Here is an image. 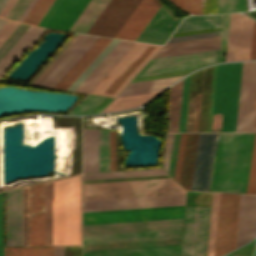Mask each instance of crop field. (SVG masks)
<instances>
[{"label": "crop field", "instance_id": "crop-field-1", "mask_svg": "<svg viewBox=\"0 0 256 256\" xmlns=\"http://www.w3.org/2000/svg\"><path fill=\"white\" fill-rule=\"evenodd\" d=\"M81 245V175L45 183V246Z\"/></svg>", "mask_w": 256, "mask_h": 256}, {"label": "crop field", "instance_id": "crop-field-2", "mask_svg": "<svg viewBox=\"0 0 256 256\" xmlns=\"http://www.w3.org/2000/svg\"><path fill=\"white\" fill-rule=\"evenodd\" d=\"M254 133H219L211 191L245 193Z\"/></svg>", "mask_w": 256, "mask_h": 256}, {"label": "crop field", "instance_id": "crop-field-3", "mask_svg": "<svg viewBox=\"0 0 256 256\" xmlns=\"http://www.w3.org/2000/svg\"><path fill=\"white\" fill-rule=\"evenodd\" d=\"M241 66L218 65L211 131H235Z\"/></svg>", "mask_w": 256, "mask_h": 256}, {"label": "crop field", "instance_id": "crop-field-4", "mask_svg": "<svg viewBox=\"0 0 256 256\" xmlns=\"http://www.w3.org/2000/svg\"><path fill=\"white\" fill-rule=\"evenodd\" d=\"M161 47L134 42L89 93L116 97Z\"/></svg>", "mask_w": 256, "mask_h": 256}, {"label": "crop field", "instance_id": "crop-field-5", "mask_svg": "<svg viewBox=\"0 0 256 256\" xmlns=\"http://www.w3.org/2000/svg\"><path fill=\"white\" fill-rule=\"evenodd\" d=\"M186 193L171 178L83 184V200Z\"/></svg>", "mask_w": 256, "mask_h": 256}, {"label": "crop field", "instance_id": "crop-field-6", "mask_svg": "<svg viewBox=\"0 0 256 256\" xmlns=\"http://www.w3.org/2000/svg\"><path fill=\"white\" fill-rule=\"evenodd\" d=\"M184 205L83 212V224L183 218Z\"/></svg>", "mask_w": 256, "mask_h": 256}, {"label": "crop field", "instance_id": "crop-field-7", "mask_svg": "<svg viewBox=\"0 0 256 256\" xmlns=\"http://www.w3.org/2000/svg\"><path fill=\"white\" fill-rule=\"evenodd\" d=\"M98 38L78 34L32 85L53 88Z\"/></svg>", "mask_w": 256, "mask_h": 256}, {"label": "crop field", "instance_id": "crop-field-8", "mask_svg": "<svg viewBox=\"0 0 256 256\" xmlns=\"http://www.w3.org/2000/svg\"><path fill=\"white\" fill-rule=\"evenodd\" d=\"M210 208L186 207L181 256H205Z\"/></svg>", "mask_w": 256, "mask_h": 256}, {"label": "crop field", "instance_id": "crop-field-9", "mask_svg": "<svg viewBox=\"0 0 256 256\" xmlns=\"http://www.w3.org/2000/svg\"><path fill=\"white\" fill-rule=\"evenodd\" d=\"M218 133H199L190 190L210 191Z\"/></svg>", "mask_w": 256, "mask_h": 256}, {"label": "crop field", "instance_id": "crop-field-10", "mask_svg": "<svg viewBox=\"0 0 256 256\" xmlns=\"http://www.w3.org/2000/svg\"><path fill=\"white\" fill-rule=\"evenodd\" d=\"M240 195L221 194L215 255L234 249Z\"/></svg>", "mask_w": 256, "mask_h": 256}, {"label": "crop field", "instance_id": "crop-field-11", "mask_svg": "<svg viewBox=\"0 0 256 256\" xmlns=\"http://www.w3.org/2000/svg\"><path fill=\"white\" fill-rule=\"evenodd\" d=\"M218 53L219 50H216L151 59L136 77L200 68L217 63Z\"/></svg>", "mask_w": 256, "mask_h": 256}, {"label": "crop field", "instance_id": "crop-field-12", "mask_svg": "<svg viewBox=\"0 0 256 256\" xmlns=\"http://www.w3.org/2000/svg\"><path fill=\"white\" fill-rule=\"evenodd\" d=\"M140 1L111 0L87 33L114 37Z\"/></svg>", "mask_w": 256, "mask_h": 256}, {"label": "crop field", "instance_id": "crop-field-13", "mask_svg": "<svg viewBox=\"0 0 256 256\" xmlns=\"http://www.w3.org/2000/svg\"><path fill=\"white\" fill-rule=\"evenodd\" d=\"M254 21L231 14L226 61L249 60Z\"/></svg>", "mask_w": 256, "mask_h": 256}, {"label": "crop field", "instance_id": "crop-field-14", "mask_svg": "<svg viewBox=\"0 0 256 256\" xmlns=\"http://www.w3.org/2000/svg\"><path fill=\"white\" fill-rule=\"evenodd\" d=\"M185 194L83 201V211L184 204Z\"/></svg>", "mask_w": 256, "mask_h": 256}, {"label": "crop field", "instance_id": "crop-field-15", "mask_svg": "<svg viewBox=\"0 0 256 256\" xmlns=\"http://www.w3.org/2000/svg\"><path fill=\"white\" fill-rule=\"evenodd\" d=\"M6 246H22V188L6 192Z\"/></svg>", "mask_w": 256, "mask_h": 256}, {"label": "crop field", "instance_id": "crop-field-16", "mask_svg": "<svg viewBox=\"0 0 256 256\" xmlns=\"http://www.w3.org/2000/svg\"><path fill=\"white\" fill-rule=\"evenodd\" d=\"M183 219L83 225V234L182 228Z\"/></svg>", "mask_w": 256, "mask_h": 256}, {"label": "crop field", "instance_id": "crop-field-17", "mask_svg": "<svg viewBox=\"0 0 256 256\" xmlns=\"http://www.w3.org/2000/svg\"><path fill=\"white\" fill-rule=\"evenodd\" d=\"M30 246H44V183L29 187Z\"/></svg>", "mask_w": 256, "mask_h": 256}, {"label": "crop field", "instance_id": "crop-field-18", "mask_svg": "<svg viewBox=\"0 0 256 256\" xmlns=\"http://www.w3.org/2000/svg\"><path fill=\"white\" fill-rule=\"evenodd\" d=\"M159 7L157 0H142L115 37L136 40Z\"/></svg>", "mask_w": 256, "mask_h": 256}, {"label": "crop field", "instance_id": "crop-field-19", "mask_svg": "<svg viewBox=\"0 0 256 256\" xmlns=\"http://www.w3.org/2000/svg\"><path fill=\"white\" fill-rule=\"evenodd\" d=\"M256 232V196L241 195L235 248L250 241Z\"/></svg>", "mask_w": 256, "mask_h": 256}, {"label": "crop field", "instance_id": "crop-field-20", "mask_svg": "<svg viewBox=\"0 0 256 256\" xmlns=\"http://www.w3.org/2000/svg\"><path fill=\"white\" fill-rule=\"evenodd\" d=\"M180 22L174 21L161 7L137 38L139 41L164 44Z\"/></svg>", "mask_w": 256, "mask_h": 256}, {"label": "crop field", "instance_id": "crop-field-21", "mask_svg": "<svg viewBox=\"0 0 256 256\" xmlns=\"http://www.w3.org/2000/svg\"><path fill=\"white\" fill-rule=\"evenodd\" d=\"M90 0H63L45 28L68 31Z\"/></svg>", "mask_w": 256, "mask_h": 256}, {"label": "crop field", "instance_id": "crop-field-22", "mask_svg": "<svg viewBox=\"0 0 256 256\" xmlns=\"http://www.w3.org/2000/svg\"><path fill=\"white\" fill-rule=\"evenodd\" d=\"M180 245L90 251L84 252V256H179Z\"/></svg>", "mask_w": 256, "mask_h": 256}, {"label": "crop field", "instance_id": "crop-field-23", "mask_svg": "<svg viewBox=\"0 0 256 256\" xmlns=\"http://www.w3.org/2000/svg\"><path fill=\"white\" fill-rule=\"evenodd\" d=\"M111 40L100 37L54 88L66 90Z\"/></svg>", "mask_w": 256, "mask_h": 256}, {"label": "crop field", "instance_id": "crop-field-24", "mask_svg": "<svg viewBox=\"0 0 256 256\" xmlns=\"http://www.w3.org/2000/svg\"><path fill=\"white\" fill-rule=\"evenodd\" d=\"M220 36L165 44L157 56L219 48Z\"/></svg>", "mask_w": 256, "mask_h": 256}, {"label": "crop field", "instance_id": "crop-field-25", "mask_svg": "<svg viewBox=\"0 0 256 256\" xmlns=\"http://www.w3.org/2000/svg\"><path fill=\"white\" fill-rule=\"evenodd\" d=\"M125 41V40H124ZM125 42L120 41L116 47L104 58V60L92 71V73L76 89L81 91L86 84L97 74V72L109 61V59L120 49ZM133 42L127 41L121 49L110 59V61L98 72V74L81 91L88 93L92 87L101 79V77L110 69V67L120 58V56L129 48Z\"/></svg>", "mask_w": 256, "mask_h": 256}, {"label": "crop field", "instance_id": "crop-field-26", "mask_svg": "<svg viewBox=\"0 0 256 256\" xmlns=\"http://www.w3.org/2000/svg\"><path fill=\"white\" fill-rule=\"evenodd\" d=\"M44 29L30 26L16 44L0 61V77L22 55Z\"/></svg>", "mask_w": 256, "mask_h": 256}, {"label": "crop field", "instance_id": "crop-field-27", "mask_svg": "<svg viewBox=\"0 0 256 256\" xmlns=\"http://www.w3.org/2000/svg\"><path fill=\"white\" fill-rule=\"evenodd\" d=\"M98 171V130L83 129V172Z\"/></svg>", "mask_w": 256, "mask_h": 256}, {"label": "crop field", "instance_id": "crop-field-28", "mask_svg": "<svg viewBox=\"0 0 256 256\" xmlns=\"http://www.w3.org/2000/svg\"><path fill=\"white\" fill-rule=\"evenodd\" d=\"M198 133L186 134L179 182L189 190Z\"/></svg>", "mask_w": 256, "mask_h": 256}, {"label": "crop field", "instance_id": "crop-field-29", "mask_svg": "<svg viewBox=\"0 0 256 256\" xmlns=\"http://www.w3.org/2000/svg\"><path fill=\"white\" fill-rule=\"evenodd\" d=\"M182 76L129 83L118 97L161 91L173 81L179 79Z\"/></svg>", "mask_w": 256, "mask_h": 256}, {"label": "crop field", "instance_id": "crop-field-30", "mask_svg": "<svg viewBox=\"0 0 256 256\" xmlns=\"http://www.w3.org/2000/svg\"><path fill=\"white\" fill-rule=\"evenodd\" d=\"M110 0H91L69 31L86 33Z\"/></svg>", "mask_w": 256, "mask_h": 256}, {"label": "crop field", "instance_id": "crop-field-31", "mask_svg": "<svg viewBox=\"0 0 256 256\" xmlns=\"http://www.w3.org/2000/svg\"><path fill=\"white\" fill-rule=\"evenodd\" d=\"M180 241H181V238H175V239L133 241V242H120V243L92 244V245H84V251L174 245V244H180Z\"/></svg>", "mask_w": 256, "mask_h": 256}, {"label": "crop field", "instance_id": "crop-field-32", "mask_svg": "<svg viewBox=\"0 0 256 256\" xmlns=\"http://www.w3.org/2000/svg\"><path fill=\"white\" fill-rule=\"evenodd\" d=\"M222 20L223 15L189 16L182 21L174 33L222 26Z\"/></svg>", "mask_w": 256, "mask_h": 256}, {"label": "crop field", "instance_id": "crop-field-33", "mask_svg": "<svg viewBox=\"0 0 256 256\" xmlns=\"http://www.w3.org/2000/svg\"><path fill=\"white\" fill-rule=\"evenodd\" d=\"M183 79L172 86L169 117V132H178Z\"/></svg>", "mask_w": 256, "mask_h": 256}, {"label": "crop field", "instance_id": "crop-field-34", "mask_svg": "<svg viewBox=\"0 0 256 256\" xmlns=\"http://www.w3.org/2000/svg\"><path fill=\"white\" fill-rule=\"evenodd\" d=\"M159 93V92H157ZM157 93L142 94L128 97L116 98L108 107H106L102 112H109L113 110L129 109L132 107L140 106L149 100L151 97Z\"/></svg>", "mask_w": 256, "mask_h": 256}, {"label": "crop field", "instance_id": "crop-field-35", "mask_svg": "<svg viewBox=\"0 0 256 256\" xmlns=\"http://www.w3.org/2000/svg\"><path fill=\"white\" fill-rule=\"evenodd\" d=\"M167 174L162 169L83 174V180Z\"/></svg>", "mask_w": 256, "mask_h": 256}, {"label": "crop field", "instance_id": "crop-field-36", "mask_svg": "<svg viewBox=\"0 0 256 256\" xmlns=\"http://www.w3.org/2000/svg\"><path fill=\"white\" fill-rule=\"evenodd\" d=\"M220 194L213 193L206 256L214 255Z\"/></svg>", "mask_w": 256, "mask_h": 256}, {"label": "crop field", "instance_id": "crop-field-37", "mask_svg": "<svg viewBox=\"0 0 256 256\" xmlns=\"http://www.w3.org/2000/svg\"><path fill=\"white\" fill-rule=\"evenodd\" d=\"M220 33H221V27L197 30V31H190V32H183V33H176V34H172V36L169 38L167 43L196 39V38H203V37H210V36H217V35H220Z\"/></svg>", "mask_w": 256, "mask_h": 256}, {"label": "crop field", "instance_id": "crop-field-38", "mask_svg": "<svg viewBox=\"0 0 256 256\" xmlns=\"http://www.w3.org/2000/svg\"><path fill=\"white\" fill-rule=\"evenodd\" d=\"M109 170V130H99V171Z\"/></svg>", "mask_w": 256, "mask_h": 256}, {"label": "crop field", "instance_id": "crop-field-39", "mask_svg": "<svg viewBox=\"0 0 256 256\" xmlns=\"http://www.w3.org/2000/svg\"><path fill=\"white\" fill-rule=\"evenodd\" d=\"M120 40L113 39L108 46L96 57V59L84 70V72L67 89L74 91L79 84L91 73V71L103 60V58L114 48Z\"/></svg>", "mask_w": 256, "mask_h": 256}, {"label": "crop field", "instance_id": "crop-field-40", "mask_svg": "<svg viewBox=\"0 0 256 256\" xmlns=\"http://www.w3.org/2000/svg\"><path fill=\"white\" fill-rule=\"evenodd\" d=\"M182 233V229L83 235V239Z\"/></svg>", "mask_w": 256, "mask_h": 256}, {"label": "crop field", "instance_id": "crop-field-41", "mask_svg": "<svg viewBox=\"0 0 256 256\" xmlns=\"http://www.w3.org/2000/svg\"><path fill=\"white\" fill-rule=\"evenodd\" d=\"M52 2L53 0H38L24 22L37 25Z\"/></svg>", "mask_w": 256, "mask_h": 256}, {"label": "crop field", "instance_id": "crop-field-42", "mask_svg": "<svg viewBox=\"0 0 256 256\" xmlns=\"http://www.w3.org/2000/svg\"><path fill=\"white\" fill-rule=\"evenodd\" d=\"M105 97L88 95L68 114H88L96 105H98Z\"/></svg>", "mask_w": 256, "mask_h": 256}, {"label": "crop field", "instance_id": "crop-field-43", "mask_svg": "<svg viewBox=\"0 0 256 256\" xmlns=\"http://www.w3.org/2000/svg\"><path fill=\"white\" fill-rule=\"evenodd\" d=\"M28 27L29 25L20 23L18 27L12 32V34L6 39V41L0 46V60L27 30Z\"/></svg>", "mask_w": 256, "mask_h": 256}, {"label": "crop field", "instance_id": "crop-field-44", "mask_svg": "<svg viewBox=\"0 0 256 256\" xmlns=\"http://www.w3.org/2000/svg\"><path fill=\"white\" fill-rule=\"evenodd\" d=\"M181 235L182 234L158 235V236H141V237H124V238H108V239H91V240H83V244L118 242V241H132V240H146V239H160V238H174V237H181Z\"/></svg>", "mask_w": 256, "mask_h": 256}, {"label": "crop field", "instance_id": "crop-field-45", "mask_svg": "<svg viewBox=\"0 0 256 256\" xmlns=\"http://www.w3.org/2000/svg\"><path fill=\"white\" fill-rule=\"evenodd\" d=\"M246 193L256 194V133L254 136V143H253V149H252V156H251Z\"/></svg>", "mask_w": 256, "mask_h": 256}, {"label": "crop field", "instance_id": "crop-field-46", "mask_svg": "<svg viewBox=\"0 0 256 256\" xmlns=\"http://www.w3.org/2000/svg\"><path fill=\"white\" fill-rule=\"evenodd\" d=\"M219 13L240 12L245 10L244 0H218Z\"/></svg>", "mask_w": 256, "mask_h": 256}, {"label": "crop field", "instance_id": "crop-field-47", "mask_svg": "<svg viewBox=\"0 0 256 256\" xmlns=\"http://www.w3.org/2000/svg\"><path fill=\"white\" fill-rule=\"evenodd\" d=\"M22 256H53V247H22Z\"/></svg>", "mask_w": 256, "mask_h": 256}, {"label": "crop field", "instance_id": "crop-field-48", "mask_svg": "<svg viewBox=\"0 0 256 256\" xmlns=\"http://www.w3.org/2000/svg\"><path fill=\"white\" fill-rule=\"evenodd\" d=\"M31 0H17L11 11L8 13L6 18L16 20L20 18L24 10L27 8Z\"/></svg>", "mask_w": 256, "mask_h": 256}, {"label": "crop field", "instance_id": "crop-field-49", "mask_svg": "<svg viewBox=\"0 0 256 256\" xmlns=\"http://www.w3.org/2000/svg\"><path fill=\"white\" fill-rule=\"evenodd\" d=\"M188 79H189V75L184 78V83H183V94H182V105H181V116H180L179 132H183V128H184V118H185V108H186V99H187Z\"/></svg>", "mask_w": 256, "mask_h": 256}, {"label": "crop field", "instance_id": "crop-field-50", "mask_svg": "<svg viewBox=\"0 0 256 256\" xmlns=\"http://www.w3.org/2000/svg\"><path fill=\"white\" fill-rule=\"evenodd\" d=\"M180 134H174L169 173L174 176ZM171 175V176H172Z\"/></svg>", "mask_w": 256, "mask_h": 256}, {"label": "crop field", "instance_id": "crop-field-51", "mask_svg": "<svg viewBox=\"0 0 256 256\" xmlns=\"http://www.w3.org/2000/svg\"><path fill=\"white\" fill-rule=\"evenodd\" d=\"M19 23L8 20L6 24L0 29V45L11 34V32L17 27Z\"/></svg>", "mask_w": 256, "mask_h": 256}, {"label": "crop field", "instance_id": "crop-field-52", "mask_svg": "<svg viewBox=\"0 0 256 256\" xmlns=\"http://www.w3.org/2000/svg\"><path fill=\"white\" fill-rule=\"evenodd\" d=\"M202 14H216L217 0H201Z\"/></svg>", "mask_w": 256, "mask_h": 256}, {"label": "crop field", "instance_id": "crop-field-53", "mask_svg": "<svg viewBox=\"0 0 256 256\" xmlns=\"http://www.w3.org/2000/svg\"><path fill=\"white\" fill-rule=\"evenodd\" d=\"M229 18H230V14H225L219 62H222L223 52L226 50L228 27H229Z\"/></svg>", "mask_w": 256, "mask_h": 256}, {"label": "crop field", "instance_id": "crop-field-54", "mask_svg": "<svg viewBox=\"0 0 256 256\" xmlns=\"http://www.w3.org/2000/svg\"><path fill=\"white\" fill-rule=\"evenodd\" d=\"M110 170H116L115 131L110 130Z\"/></svg>", "mask_w": 256, "mask_h": 256}, {"label": "crop field", "instance_id": "crop-field-55", "mask_svg": "<svg viewBox=\"0 0 256 256\" xmlns=\"http://www.w3.org/2000/svg\"><path fill=\"white\" fill-rule=\"evenodd\" d=\"M184 10L193 14H201L200 0H183Z\"/></svg>", "mask_w": 256, "mask_h": 256}, {"label": "crop field", "instance_id": "crop-field-56", "mask_svg": "<svg viewBox=\"0 0 256 256\" xmlns=\"http://www.w3.org/2000/svg\"><path fill=\"white\" fill-rule=\"evenodd\" d=\"M172 137H173V134H167V137H166V144H165V150H164V161H163V168L166 171L168 169V163H169V157H170V151H171V144H172Z\"/></svg>", "mask_w": 256, "mask_h": 256}, {"label": "crop field", "instance_id": "crop-field-57", "mask_svg": "<svg viewBox=\"0 0 256 256\" xmlns=\"http://www.w3.org/2000/svg\"><path fill=\"white\" fill-rule=\"evenodd\" d=\"M62 0H54V2L52 3V5L50 6V8L47 10V12L45 13V15L43 16V18L40 20V22L38 23V26H42L44 27V25L47 23V21L49 20V18L51 17V15L54 13V11L56 10V8L58 7V5L61 3Z\"/></svg>", "mask_w": 256, "mask_h": 256}, {"label": "crop field", "instance_id": "crop-field-58", "mask_svg": "<svg viewBox=\"0 0 256 256\" xmlns=\"http://www.w3.org/2000/svg\"><path fill=\"white\" fill-rule=\"evenodd\" d=\"M185 134H181L175 178L178 180Z\"/></svg>", "mask_w": 256, "mask_h": 256}, {"label": "crop field", "instance_id": "crop-field-59", "mask_svg": "<svg viewBox=\"0 0 256 256\" xmlns=\"http://www.w3.org/2000/svg\"><path fill=\"white\" fill-rule=\"evenodd\" d=\"M0 246H3L2 193H0Z\"/></svg>", "mask_w": 256, "mask_h": 256}, {"label": "crop field", "instance_id": "crop-field-60", "mask_svg": "<svg viewBox=\"0 0 256 256\" xmlns=\"http://www.w3.org/2000/svg\"><path fill=\"white\" fill-rule=\"evenodd\" d=\"M15 2L16 0H9L8 3L5 5V7L3 8V10L1 11L0 17L5 18V16L10 11V9L12 8Z\"/></svg>", "mask_w": 256, "mask_h": 256}, {"label": "crop field", "instance_id": "crop-field-61", "mask_svg": "<svg viewBox=\"0 0 256 256\" xmlns=\"http://www.w3.org/2000/svg\"><path fill=\"white\" fill-rule=\"evenodd\" d=\"M37 0H32V2L30 3V5L28 6V8L25 10V12L23 13V15L21 16V18L19 19V21L23 22V20L25 19V17L27 16V14L30 12V10L32 9V7L34 6V4L36 3Z\"/></svg>", "mask_w": 256, "mask_h": 256}, {"label": "crop field", "instance_id": "crop-field-62", "mask_svg": "<svg viewBox=\"0 0 256 256\" xmlns=\"http://www.w3.org/2000/svg\"><path fill=\"white\" fill-rule=\"evenodd\" d=\"M54 256H64V247H54Z\"/></svg>", "mask_w": 256, "mask_h": 256}, {"label": "crop field", "instance_id": "crop-field-63", "mask_svg": "<svg viewBox=\"0 0 256 256\" xmlns=\"http://www.w3.org/2000/svg\"><path fill=\"white\" fill-rule=\"evenodd\" d=\"M4 256H12V247H4Z\"/></svg>", "mask_w": 256, "mask_h": 256}, {"label": "crop field", "instance_id": "crop-field-64", "mask_svg": "<svg viewBox=\"0 0 256 256\" xmlns=\"http://www.w3.org/2000/svg\"><path fill=\"white\" fill-rule=\"evenodd\" d=\"M13 256H21V247H13Z\"/></svg>", "mask_w": 256, "mask_h": 256}, {"label": "crop field", "instance_id": "crop-field-65", "mask_svg": "<svg viewBox=\"0 0 256 256\" xmlns=\"http://www.w3.org/2000/svg\"><path fill=\"white\" fill-rule=\"evenodd\" d=\"M175 4H176L179 8L183 9L182 0H175Z\"/></svg>", "mask_w": 256, "mask_h": 256}, {"label": "crop field", "instance_id": "crop-field-66", "mask_svg": "<svg viewBox=\"0 0 256 256\" xmlns=\"http://www.w3.org/2000/svg\"><path fill=\"white\" fill-rule=\"evenodd\" d=\"M8 0H0V11L4 7V5L7 3Z\"/></svg>", "mask_w": 256, "mask_h": 256}, {"label": "crop field", "instance_id": "crop-field-67", "mask_svg": "<svg viewBox=\"0 0 256 256\" xmlns=\"http://www.w3.org/2000/svg\"><path fill=\"white\" fill-rule=\"evenodd\" d=\"M0 256H3V247H0Z\"/></svg>", "mask_w": 256, "mask_h": 256}, {"label": "crop field", "instance_id": "crop-field-68", "mask_svg": "<svg viewBox=\"0 0 256 256\" xmlns=\"http://www.w3.org/2000/svg\"><path fill=\"white\" fill-rule=\"evenodd\" d=\"M226 256H240V255H236V254L230 253V254H228V255H226Z\"/></svg>", "mask_w": 256, "mask_h": 256}, {"label": "crop field", "instance_id": "crop-field-69", "mask_svg": "<svg viewBox=\"0 0 256 256\" xmlns=\"http://www.w3.org/2000/svg\"><path fill=\"white\" fill-rule=\"evenodd\" d=\"M255 256H256V251H255Z\"/></svg>", "mask_w": 256, "mask_h": 256}]
</instances>
